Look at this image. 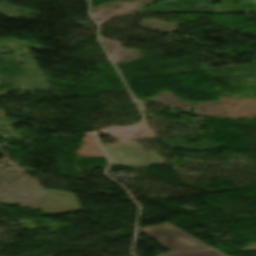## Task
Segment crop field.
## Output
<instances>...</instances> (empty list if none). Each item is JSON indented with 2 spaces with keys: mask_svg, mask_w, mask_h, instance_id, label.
Segmentation results:
<instances>
[{
  "mask_svg": "<svg viewBox=\"0 0 256 256\" xmlns=\"http://www.w3.org/2000/svg\"><path fill=\"white\" fill-rule=\"evenodd\" d=\"M144 233L171 252L192 251L211 248L178 228L165 223L141 228Z\"/></svg>",
  "mask_w": 256,
  "mask_h": 256,
  "instance_id": "crop-field-1",
  "label": "crop field"
},
{
  "mask_svg": "<svg viewBox=\"0 0 256 256\" xmlns=\"http://www.w3.org/2000/svg\"><path fill=\"white\" fill-rule=\"evenodd\" d=\"M158 256H224L217 249L206 250V251H196V252H183L174 254H161Z\"/></svg>",
  "mask_w": 256,
  "mask_h": 256,
  "instance_id": "crop-field-2",
  "label": "crop field"
}]
</instances>
